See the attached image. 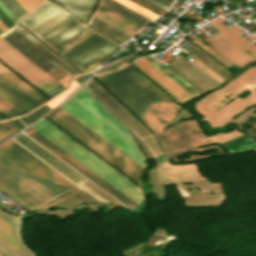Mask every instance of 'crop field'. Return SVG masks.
<instances>
[{
  "instance_id": "obj_34",
  "label": "crop field",
  "mask_w": 256,
  "mask_h": 256,
  "mask_svg": "<svg viewBox=\"0 0 256 256\" xmlns=\"http://www.w3.org/2000/svg\"><path fill=\"white\" fill-rule=\"evenodd\" d=\"M13 131L11 127H9L7 124H1L0 125V138L4 135L8 134L9 132Z\"/></svg>"
},
{
  "instance_id": "obj_24",
  "label": "crop field",
  "mask_w": 256,
  "mask_h": 256,
  "mask_svg": "<svg viewBox=\"0 0 256 256\" xmlns=\"http://www.w3.org/2000/svg\"><path fill=\"white\" fill-rule=\"evenodd\" d=\"M191 40H193L195 43H197L200 47H202L204 50H206L208 53H210L212 56H214L217 60H219L221 63H223L228 68L233 66L228 61H226L223 57H221L218 53H216L214 50H212L209 46H207L204 42H202L200 39H198L195 35L192 33H189L186 35Z\"/></svg>"
},
{
  "instance_id": "obj_25",
  "label": "crop field",
  "mask_w": 256,
  "mask_h": 256,
  "mask_svg": "<svg viewBox=\"0 0 256 256\" xmlns=\"http://www.w3.org/2000/svg\"><path fill=\"white\" fill-rule=\"evenodd\" d=\"M116 1L121 3V4H123V5H125V6H127L130 9L140 13L141 15H143V16L151 19V20H153L154 18L159 16V15H157V14H155V13H153V12H151V11H149V10H147V9H145V8L135 4V3H133L130 0H116Z\"/></svg>"
},
{
  "instance_id": "obj_2",
  "label": "crop field",
  "mask_w": 256,
  "mask_h": 256,
  "mask_svg": "<svg viewBox=\"0 0 256 256\" xmlns=\"http://www.w3.org/2000/svg\"><path fill=\"white\" fill-rule=\"evenodd\" d=\"M73 98H75L77 101L82 103L84 106L89 108L91 111L96 113L98 116H100L101 118H103L108 123H110L115 128H117L122 133L128 136L125 129L120 124H118L109 114H107L99 105H97L82 90L79 93H77ZM73 98H71L61 108H63L69 114H71L80 122L85 124L91 130L96 132L98 135H100L106 141L111 143L117 149L122 151L128 157L133 159L139 165H144V159L142 158V156L140 155L132 141H130L128 138H126L124 135L115 130L113 127H111L109 124L100 119L98 116H96L94 113H92L90 110L85 108L83 105H81Z\"/></svg>"
},
{
  "instance_id": "obj_11",
  "label": "crop field",
  "mask_w": 256,
  "mask_h": 256,
  "mask_svg": "<svg viewBox=\"0 0 256 256\" xmlns=\"http://www.w3.org/2000/svg\"><path fill=\"white\" fill-rule=\"evenodd\" d=\"M162 151L169 152L202 145L205 137L195 120L179 122L165 133L155 135Z\"/></svg>"
},
{
  "instance_id": "obj_28",
  "label": "crop field",
  "mask_w": 256,
  "mask_h": 256,
  "mask_svg": "<svg viewBox=\"0 0 256 256\" xmlns=\"http://www.w3.org/2000/svg\"><path fill=\"white\" fill-rule=\"evenodd\" d=\"M77 191H79V190H77L76 188H74V189H72V190H70V191H68V192H66V193H64V194H62V195H60V196H58V197H56V198H54V199H52V200H50V201L44 203V204H42V205H40V206L34 208V209H32V211H36V212H37V211H40V210H42V209H44V208H46V207H48V206H50V205H52V204L58 202V201H60V200H62V199H64V198H66L67 196H69V195H71V194H73V193H75V192H77Z\"/></svg>"
},
{
  "instance_id": "obj_31",
  "label": "crop field",
  "mask_w": 256,
  "mask_h": 256,
  "mask_svg": "<svg viewBox=\"0 0 256 256\" xmlns=\"http://www.w3.org/2000/svg\"><path fill=\"white\" fill-rule=\"evenodd\" d=\"M2 3L14 14V16L20 21L23 17L17 12V10L7 1L1 0Z\"/></svg>"
},
{
  "instance_id": "obj_32",
  "label": "crop field",
  "mask_w": 256,
  "mask_h": 256,
  "mask_svg": "<svg viewBox=\"0 0 256 256\" xmlns=\"http://www.w3.org/2000/svg\"><path fill=\"white\" fill-rule=\"evenodd\" d=\"M0 8L1 10L10 18V20L15 24L17 22H19L14 16L13 14L1 3L0 1Z\"/></svg>"
},
{
  "instance_id": "obj_16",
  "label": "crop field",
  "mask_w": 256,
  "mask_h": 256,
  "mask_svg": "<svg viewBox=\"0 0 256 256\" xmlns=\"http://www.w3.org/2000/svg\"><path fill=\"white\" fill-rule=\"evenodd\" d=\"M142 72H144L147 76H149L152 80L158 83L161 87H163L166 91L172 94L179 101L184 102L194 96H192L189 92L179 86L176 82L162 73L159 69L153 66L144 58L132 63Z\"/></svg>"
},
{
  "instance_id": "obj_19",
  "label": "crop field",
  "mask_w": 256,
  "mask_h": 256,
  "mask_svg": "<svg viewBox=\"0 0 256 256\" xmlns=\"http://www.w3.org/2000/svg\"><path fill=\"white\" fill-rule=\"evenodd\" d=\"M56 2L72 13H74L79 19H81L84 23L90 14L94 4L97 0H51Z\"/></svg>"
},
{
  "instance_id": "obj_30",
  "label": "crop field",
  "mask_w": 256,
  "mask_h": 256,
  "mask_svg": "<svg viewBox=\"0 0 256 256\" xmlns=\"http://www.w3.org/2000/svg\"><path fill=\"white\" fill-rule=\"evenodd\" d=\"M18 25V24H17ZM17 25H15L16 27H18ZM20 30H22L20 27H18ZM25 34H27L29 37H31L34 41H36L38 44H40L43 48H45L47 51H49L52 55H54L56 58H58L61 62H63L65 65H67L70 69H72L74 72H76L77 74H80V72H78L76 69H74L72 66H70L68 63H66L64 60H62L60 57H58L56 54H54L52 51H50L48 48H46L44 45H42L40 42H38L36 39H34L32 36H30L28 33H26L24 30H22Z\"/></svg>"
},
{
  "instance_id": "obj_38",
  "label": "crop field",
  "mask_w": 256,
  "mask_h": 256,
  "mask_svg": "<svg viewBox=\"0 0 256 256\" xmlns=\"http://www.w3.org/2000/svg\"><path fill=\"white\" fill-rule=\"evenodd\" d=\"M0 19L3 21V23L9 28L12 25L6 20V18L0 13ZM1 21V22H2Z\"/></svg>"
},
{
  "instance_id": "obj_8",
  "label": "crop field",
  "mask_w": 256,
  "mask_h": 256,
  "mask_svg": "<svg viewBox=\"0 0 256 256\" xmlns=\"http://www.w3.org/2000/svg\"><path fill=\"white\" fill-rule=\"evenodd\" d=\"M0 152L59 194L75 187L11 140L0 146Z\"/></svg>"
},
{
  "instance_id": "obj_21",
  "label": "crop field",
  "mask_w": 256,
  "mask_h": 256,
  "mask_svg": "<svg viewBox=\"0 0 256 256\" xmlns=\"http://www.w3.org/2000/svg\"><path fill=\"white\" fill-rule=\"evenodd\" d=\"M90 26L102 31L103 33L113 37L114 39L124 43L125 41H127L130 37V35L112 27L111 25L95 18L92 16L89 24Z\"/></svg>"
},
{
  "instance_id": "obj_12",
  "label": "crop field",
  "mask_w": 256,
  "mask_h": 256,
  "mask_svg": "<svg viewBox=\"0 0 256 256\" xmlns=\"http://www.w3.org/2000/svg\"><path fill=\"white\" fill-rule=\"evenodd\" d=\"M28 135H30L32 138H34L36 141L41 143L43 146H45L47 149H49L51 152L56 154L58 157H60L62 160H64L66 163L71 165L73 168H75L77 171H79L81 174L86 176L88 179H90L92 182H94L96 185L101 187L103 190H105L107 193H109L111 196L116 198L118 201H120L122 204H124L126 207L130 208L133 205L137 204L130 198H128L126 195H124L122 192L117 190L115 187L110 185L108 182L103 180L101 177H99L97 174L92 172L90 169L85 167L83 164L78 162L76 159L71 157L69 154H67L65 151L60 149L58 146L53 144L51 141L46 139L44 136H42L40 133L35 131L33 128H28L24 130ZM25 133V134H26ZM29 136V137H30ZM40 144V145H41Z\"/></svg>"
},
{
  "instance_id": "obj_7",
  "label": "crop field",
  "mask_w": 256,
  "mask_h": 256,
  "mask_svg": "<svg viewBox=\"0 0 256 256\" xmlns=\"http://www.w3.org/2000/svg\"><path fill=\"white\" fill-rule=\"evenodd\" d=\"M0 61L49 99L66 90L2 39Z\"/></svg>"
},
{
  "instance_id": "obj_39",
  "label": "crop field",
  "mask_w": 256,
  "mask_h": 256,
  "mask_svg": "<svg viewBox=\"0 0 256 256\" xmlns=\"http://www.w3.org/2000/svg\"><path fill=\"white\" fill-rule=\"evenodd\" d=\"M30 4L35 8L38 4H40L43 0H28Z\"/></svg>"
},
{
  "instance_id": "obj_27",
  "label": "crop field",
  "mask_w": 256,
  "mask_h": 256,
  "mask_svg": "<svg viewBox=\"0 0 256 256\" xmlns=\"http://www.w3.org/2000/svg\"><path fill=\"white\" fill-rule=\"evenodd\" d=\"M50 109L51 108L46 104L42 108H40V109L34 111L33 113L29 114L28 116L20 118V120L25 125H27V124L33 122L34 120H36L37 118H39L40 116H42L43 114H45Z\"/></svg>"
},
{
  "instance_id": "obj_41",
  "label": "crop field",
  "mask_w": 256,
  "mask_h": 256,
  "mask_svg": "<svg viewBox=\"0 0 256 256\" xmlns=\"http://www.w3.org/2000/svg\"><path fill=\"white\" fill-rule=\"evenodd\" d=\"M0 256H6V255L0 250Z\"/></svg>"
},
{
  "instance_id": "obj_9",
  "label": "crop field",
  "mask_w": 256,
  "mask_h": 256,
  "mask_svg": "<svg viewBox=\"0 0 256 256\" xmlns=\"http://www.w3.org/2000/svg\"><path fill=\"white\" fill-rule=\"evenodd\" d=\"M0 96L23 114L48 101L1 64Z\"/></svg>"
},
{
  "instance_id": "obj_6",
  "label": "crop field",
  "mask_w": 256,
  "mask_h": 256,
  "mask_svg": "<svg viewBox=\"0 0 256 256\" xmlns=\"http://www.w3.org/2000/svg\"><path fill=\"white\" fill-rule=\"evenodd\" d=\"M0 190L27 210L59 195L2 153Z\"/></svg>"
},
{
  "instance_id": "obj_37",
  "label": "crop field",
  "mask_w": 256,
  "mask_h": 256,
  "mask_svg": "<svg viewBox=\"0 0 256 256\" xmlns=\"http://www.w3.org/2000/svg\"><path fill=\"white\" fill-rule=\"evenodd\" d=\"M0 249L7 255V256H14L7 248H5L1 243H0Z\"/></svg>"
},
{
  "instance_id": "obj_22",
  "label": "crop field",
  "mask_w": 256,
  "mask_h": 256,
  "mask_svg": "<svg viewBox=\"0 0 256 256\" xmlns=\"http://www.w3.org/2000/svg\"><path fill=\"white\" fill-rule=\"evenodd\" d=\"M152 57L151 56L145 57V59H147L149 62H151L157 68H159L162 72H164L166 75H168L170 78H172L174 81H176L179 85H181L183 88H185L187 91H189L194 96L200 94L199 92H197L195 89H193L191 86H189L187 83H185L183 80H181L174 73H172L170 70H168L166 67H164L162 64H160L158 61H156Z\"/></svg>"
},
{
  "instance_id": "obj_1",
  "label": "crop field",
  "mask_w": 256,
  "mask_h": 256,
  "mask_svg": "<svg viewBox=\"0 0 256 256\" xmlns=\"http://www.w3.org/2000/svg\"><path fill=\"white\" fill-rule=\"evenodd\" d=\"M93 76L154 133L181 109L130 66Z\"/></svg>"
},
{
  "instance_id": "obj_43",
  "label": "crop field",
  "mask_w": 256,
  "mask_h": 256,
  "mask_svg": "<svg viewBox=\"0 0 256 256\" xmlns=\"http://www.w3.org/2000/svg\"><path fill=\"white\" fill-rule=\"evenodd\" d=\"M3 33L1 30H0V34Z\"/></svg>"
},
{
  "instance_id": "obj_40",
  "label": "crop field",
  "mask_w": 256,
  "mask_h": 256,
  "mask_svg": "<svg viewBox=\"0 0 256 256\" xmlns=\"http://www.w3.org/2000/svg\"><path fill=\"white\" fill-rule=\"evenodd\" d=\"M0 29H1L3 32L8 29V28L1 22V20H0Z\"/></svg>"
},
{
  "instance_id": "obj_23",
  "label": "crop field",
  "mask_w": 256,
  "mask_h": 256,
  "mask_svg": "<svg viewBox=\"0 0 256 256\" xmlns=\"http://www.w3.org/2000/svg\"><path fill=\"white\" fill-rule=\"evenodd\" d=\"M101 2L115 8L116 10L130 16L131 18L143 23V24H147L148 22H150L151 20L139 15L138 13L128 9L127 7L115 2L114 0H101Z\"/></svg>"
},
{
  "instance_id": "obj_13",
  "label": "crop field",
  "mask_w": 256,
  "mask_h": 256,
  "mask_svg": "<svg viewBox=\"0 0 256 256\" xmlns=\"http://www.w3.org/2000/svg\"><path fill=\"white\" fill-rule=\"evenodd\" d=\"M118 45L119 44L95 32L61 55L80 69L109 54L116 49Z\"/></svg>"
},
{
  "instance_id": "obj_33",
  "label": "crop field",
  "mask_w": 256,
  "mask_h": 256,
  "mask_svg": "<svg viewBox=\"0 0 256 256\" xmlns=\"http://www.w3.org/2000/svg\"><path fill=\"white\" fill-rule=\"evenodd\" d=\"M8 1L18 10V12L23 17L28 14L16 0H8Z\"/></svg>"
},
{
  "instance_id": "obj_20",
  "label": "crop field",
  "mask_w": 256,
  "mask_h": 256,
  "mask_svg": "<svg viewBox=\"0 0 256 256\" xmlns=\"http://www.w3.org/2000/svg\"><path fill=\"white\" fill-rule=\"evenodd\" d=\"M220 144L228 149L230 155L256 150V141L244 135Z\"/></svg>"
},
{
  "instance_id": "obj_17",
  "label": "crop field",
  "mask_w": 256,
  "mask_h": 256,
  "mask_svg": "<svg viewBox=\"0 0 256 256\" xmlns=\"http://www.w3.org/2000/svg\"><path fill=\"white\" fill-rule=\"evenodd\" d=\"M93 16L132 36L136 31L145 26L101 2Z\"/></svg>"
},
{
  "instance_id": "obj_35",
  "label": "crop field",
  "mask_w": 256,
  "mask_h": 256,
  "mask_svg": "<svg viewBox=\"0 0 256 256\" xmlns=\"http://www.w3.org/2000/svg\"><path fill=\"white\" fill-rule=\"evenodd\" d=\"M23 7L24 9L29 13L32 11L34 8L29 4L27 0H17Z\"/></svg>"
},
{
  "instance_id": "obj_26",
  "label": "crop field",
  "mask_w": 256,
  "mask_h": 256,
  "mask_svg": "<svg viewBox=\"0 0 256 256\" xmlns=\"http://www.w3.org/2000/svg\"><path fill=\"white\" fill-rule=\"evenodd\" d=\"M0 113L6 118L23 115L1 97H0Z\"/></svg>"
},
{
  "instance_id": "obj_5",
  "label": "crop field",
  "mask_w": 256,
  "mask_h": 256,
  "mask_svg": "<svg viewBox=\"0 0 256 256\" xmlns=\"http://www.w3.org/2000/svg\"><path fill=\"white\" fill-rule=\"evenodd\" d=\"M45 117L125 174L135 183L138 182L140 169H142L139 165L82 125L61 108H56Z\"/></svg>"
},
{
  "instance_id": "obj_18",
  "label": "crop field",
  "mask_w": 256,
  "mask_h": 256,
  "mask_svg": "<svg viewBox=\"0 0 256 256\" xmlns=\"http://www.w3.org/2000/svg\"><path fill=\"white\" fill-rule=\"evenodd\" d=\"M0 242L15 256H32L20 243L18 232L0 217Z\"/></svg>"
},
{
  "instance_id": "obj_29",
  "label": "crop field",
  "mask_w": 256,
  "mask_h": 256,
  "mask_svg": "<svg viewBox=\"0 0 256 256\" xmlns=\"http://www.w3.org/2000/svg\"><path fill=\"white\" fill-rule=\"evenodd\" d=\"M151 148V150L153 151V153L155 154V156L162 154L161 149L159 148V146L157 145V143L155 142V138L153 137V135L143 139Z\"/></svg>"
},
{
  "instance_id": "obj_15",
  "label": "crop field",
  "mask_w": 256,
  "mask_h": 256,
  "mask_svg": "<svg viewBox=\"0 0 256 256\" xmlns=\"http://www.w3.org/2000/svg\"><path fill=\"white\" fill-rule=\"evenodd\" d=\"M13 139H15L21 145H23L28 150L33 152L35 155H37L39 158L44 160L46 163L51 165L53 168H55L57 171L62 173L64 176L69 178L75 184H79L86 180L82 176H80L78 173H76L74 170H72L67 165H65L63 162H61L59 159H57L52 154H50L48 151H46L44 148H42L40 145L35 143L29 137H27L25 134L20 133Z\"/></svg>"
},
{
  "instance_id": "obj_4",
  "label": "crop field",
  "mask_w": 256,
  "mask_h": 256,
  "mask_svg": "<svg viewBox=\"0 0 256 256\" xmlns=\"http://www.w3.org/2000/svg\"><path fill=\"white\" fill-rule=\"evenodd\" d=\"M31 127L40 132L53 143L58 145L60 148L65 150L67 153L83 163L85 166L90 168L92 171L97 173L99 176L115 186L117 189L122 191L135 202H140L142 198V192L137 186H135L129 180L113 170L107 164L102 162L96 156L91 154L89 151L84 149L78 143L73 141L67 135L62 133L56 127L51 125L45 119H40Z\"/></svg>"
},
{
  "instance_id": "obj_42",
  "label": "crop field",
  "mask_w": 256,
  "mask_h": 256,
  "mask_svg": "<svg viewBox=\"0 0 256 256\" xmlns=\"http://www.w3.org/2000/svg\"><path fill=\"white\" fill-rule=\"evenodd\" d=\"M0 120H4V119L0 117Z\"/></svg>"
},
{
  "instance_id": "obj_10",
  "label": "crop field",
  "mask_w": 256,
  "mask_h": 256,
  "mask_svg": "<svg viewBox=\"0 0 256 256\" xmlns=\"http://www.w3.org/2000/svg\"><path fill=\"white\" fill-rule=\"evenodd\" d=\"M0 38L47 74L59 67L71 78L76 75L15 26L2 34Z\"/></svg>"
},
{
  "instance_id": "obj_14",
  "label": "crop field",
  "mask_w": 256,
  "mask_h": 256,
  "mask_svg": "<svg viewBox=\"0 0 256 256\" xmlns=\"http://www.w3.org/2000/svg\"><path fill=\"white\" fill-rule=\"evenodd\" d=\"M84 85L106 104L119 118H121L141 138L151 133L141 125L123 106H121L103 87L92 77Z\"/></svg>"
},
{
  "instance_id": "obj_3",
  "label": "crop field",
  "mask_w": 256,
  "mask_h": 256,
  "mask_svg": "<svg viewBox=\"0 0 256 256\" xmlns=\"http://www.w3.org/2000/svg\"><path fill=\"white\" fill-rule=\"evenodd\" d=\"M67 14L69 13L62 8L44 1L23 19L20 24L38 37ZM86 28L69 14L38 38L56 51L85 32L88 29ZM84 29L86 30L83 31Z\"/></svg>"
},
{
  "instance_id": "obj_36",
  "label": "crop field",
  "mask_w": 256,
  "mask_h": 256,
  "mask_svg": "<svg viewBox=\"0 0 256 256\" xmlns=\"http://www.w3.org/2000/svg\"><path fill=\"white\" fill-rule=\"evenodd\" d=\"M150 1L154 2L155 4H157V5H159V6L163 7V8H165V9H167V10H168V8H169L170 5H171V4H169V3H167V2H165V1H163V0H150Z\"/></svg>"
}]
</instances>
